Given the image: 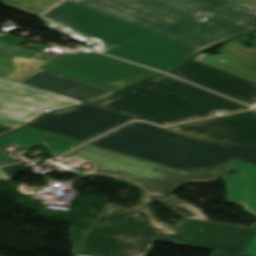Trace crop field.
<instances>
[{"instance_id": "obj_15", "label": "crop field", "mask_w": 256, "mask_h": 256, "mask_svg": "<svg viewBox=\"0 0 256 256\" xmlns=\"http://www.w3.org/2000/svg\"><path fill=\"white\" fill-rule=\"evenodd\" d=\"M218 51L221 56L200 54L194 60L256 83V52L232 42Z\"/></svg>"}, {"instance_id": "obj_4", "label": "crop field", "mask_w": 256, "mask_h": 256, "mask_svg": "<svg viewBox=\"0 0 256 256\" xmlns=\"http://www.w3.org/2000/svg\"><path fill=\"white\" fill-rule=\"evenodd\" d=\"M141 204L134 210L108 205L85 235L76 256H148L173 231L163 228Z\"/></svg>"}, {"instance_id": "obj_20", "label": "crop field", "mask_w": 256, "mask_h": 256, "mask_svg": "<svg viewBox=\"0 0 256 256\" xmlns=\"http://www.w3.org/2000/svg\"><path fill=\"white\" fill-rule=\"evenodd\" d=\"M211 256H244V255L213 251Z\"/></svg>"}, {"instance_id": "obj_5", "label": "crop field", "mask_w": 256, "mask_h": 256, "mask_svg": "<svg viewBox=\"0 0 256 256\" xmlns=\"http://www.w3.org/2000/svg\"><path fill=\"white\" fill-rule=\"evenodd\" d=\"M83 158L98 166L89 173L118 178L138 186L145 196L143 203L154 199H167L182 184L190 182H212L226 167L201 171H175L151 163L85 145L61 158L71 156Z\"/></svg>"}, {"instance_id": "obj_2", "label": "crop field", "mask_w": 256, "mask_h": 256, "mask_svg": "<svg viewBox=\"0 0 256 256\" xmlns=\"http://www.w3.org/2000/svg\"><path fill=\"white\" fill-rule=\"evenodd\" d=\"M23 41L0 37V77L84 102L105 98L139 80L161 74L85 49L58 57L19 46Z\"/></svg>"}, {"instance_id": "obj_11", "label": "crop field", "mask_w": 256, "mask_h": 256, "mask_svg": "<svg viewBox=\"0 0 256 256\" xmlns=\"http://www.w3.org/2000/svg\"><path fill=\"white\" fill-rule=\"evenodd\" d=\"M171 74L249 105L256 99V84L194 60Z\"/></svg>"}, {"instance_id": "obj_7", "label": "crop field", "mask_w": 256, "mask_h": 256, "mask_svg": "<svg viewBox=\"0 0 256 256\" xmlns=\"http://www.w3.org/2000/svg\"><path fill=\"white\" fill-rule=\"evenodd\" d=\"M135 119L137 118L87 104L47 114L29 126L86 142Z\"/></svg>"}, {"instance_id": "obj_8", "label": "crop field", "mask_w": 256, "mask_h": 256, "mask_svg": "<svg viewBox=\"0 0 256 256\" xmlns=\"http://www.w3.org/2000/svg\"><path fill=\"white\" fill-rule=\"evenodd\" d=\"M92 104L160 125L209 117L132 87L110 99Z\"/></svg>"}, {"instance_id": "obj_19", "label": "crop field", "mask_w": 256, "mask_h": 256, "mask_svg": "<svg viewBox=\"0 0 256 256\" xmlns=\"http://www.w3.org/2000/svg\"><path fill=\"white\" fill-rule=\"evenodd\" d=\"M0 169L3 170L5 173H7L12 178H14L28 168L26 166H24L22 163H19V164H15V165L1 167Z\"/></svg>"}, {"instance_id": "obj_13", "label": "crop field", "mask_w": 256, "mask_h": 256, "mask_svg": "<svg viewBox=\"0 0 256 256\" xmlns=\"http://www.w3.org/2000/svg\"><path fill=\"white\" fill-rule=\"evenodd\" d=\"M82 143L62 138L40 130L25 127L0 138V165L12 163L6 147L14 146L17 150L41 145L54 158Z\"/></svg>"}, {"instance_id": "obj_14", "label": "crop field", "mask_w": 256, "mask_h": 256, "mask_svg": "<svg viewBox=\"0 0 256 256\" xmlns=\"http://www.w3.org/2000/svg\"><path fill=\"white\" fill-rule=\"evenodd\" d=\"M225 166L240 173L226 181L228 203L244 205L243 210L256 217V167L237 160ZM243 254L256 256V234Z\"/></svg>"}, {"instance_id": "obj_18", "label": "crop field", "mask_w": 256, "mask_h": 256, "mask_svg": "<svg viewBox=\"0 0 256 256\" xmlns=\"http://www.w3.org/2000/svg\"><path fill=\"white\" fill-rule=\"evenodd\" d=\"M38 11H45L60 0H11Z\"/></svg>"}, {"instance_id": "obj_21", "label": "crop field", "mask_w": 256, "mask_h": 256, "mask_svg": "<svg viewBox=\"0 0 256 256\" xmlns=\"http://www.w3.org/2000/svg\"><path fill=\"white\" fill-rule=\"evenodd\" d=\"M0 179H2V180H11L12 178H10L8 175H6L4 172H2L0 170Z\"/></svg>"}, {"instance_id": "obj_10", "label": "crop field", "mask_w": 256, "mask_h": 256, "mask_svg": "<svg viewBox=\"0 0 256 256\" xmlns=\"http://www.w3.org/2000/svg\"><path fill=\"white\" fill-rule=\"evenodd\" d=\"M168 128L200 138L256 146L254 111Z\"/></svg>"}, {"instance_id": "obj_9", "label": "crop field", "mask_w": 256, "mask_h": 256, "mask_svg": "<svg viewBox=\"0 0 256 256\" xmlns=\"http://www.w3.org/2000/svg\"><path fill=\"white\" fill-rule=\"evenodd\" d=\"M132 87L210 116H215L218 111L229 113L249 109L207 90L166 75L142 81Z\"/></svg>"}, {"instance_id": "obj_16", "label": "crop field", "mask_w": 256, "mask_h": 256, "mask_svg": "<svg viewBox=\"0 0 256 256\" xmlns=\"http://www.w3.org/2000/svg\"><path fill=\"white\" fill-rule=\"evenodd\" d=\"M165 243L175 242L176 244L210 249V250H217V251H224V252H232V253H239L242 254L245 250V247L239 246H232V245H224V244H217V243H210V242H202V241H195V240H185L181 238H174L163 240Z\"/></svg>"}, {"instance_id": "obj_22", "label": "crop field", "mask_w": 256, "mask_h": 256, "mask_svg": "<svg viewBox=\"0 0 256 256\" xmlns=\"http://www.w3.org/2000/svg\"><path fill=\"white\" fill-rule=\"evenodd\" d=\"M256 35V33H254Z\"/></svg>"}, {"instance_id": "obj_1", "label": "crop field", "mask_w": 256, "mask_h": 256, "mask_svg": "<svg viewBox=\"0 0 256 256\" xmlns=\"http://www.w3.org/2000/svg\"><path fill=\"white\" fill-rule=\"evenodd\" d=\"M39 19L103 53L168 72L256 30V0H66Z\"/></svg>"}, {"instance_id": "obj_12", "label": "crop field", "mask_w": 256, "mask_h": 256, "mask_svg": "<svg viewBox=\"0 0 256 256\" xmlns=\"http://www.w3.org/2000/svg\"><path fill=\"white\" fill-rule=\"evenodd\" d=\"M255 232V228L232 226L187 218L186 222L178 223L175 226L174 232L169 234L165 239L182 237L185 239L247 247Z\"/></svg>"}, {"instance_id": "obj_3", "label": "crop field", "mask_w": 256, "mask_h": 256, "mask_svg": "<svg viewBox=\"0 0 256 256\" xmlns=\"http://www.w3.org/2000/svg\"><path fill=\"white\" fill-rule=\"evenodd\" d=\"M186 134L132 122L88 144L175 169L213 168L235 158L256 166V147L204 140Z\"/></svg>"}, {"instance_id": "obj_17", "label": "crop field", "mask_w": 256, "mask_h": 256, "mask_svg": "<svg viewBox=\"0 0 256 256\" xmlns=\"http://www.w3.org/2000/svg\"><path fill=\"white\" fill-rule=\"evenodd\" d=\"M164 203H166L168 206H170L172 209L180 213L183 217L188 218H194V219H200V220H206L204 214L201 210L186 204L184 202H181L177 199H174L172 197L168 198L167 200H160Z\"/></svg>"}, {"instance_id": "obj_6", "label": "crop field", "mask_w": 256, "mask_h": 256, "mask_svg": "<svg viewBox=\"0 0 256 256\" xmlns=\"http://www.w3.org/2000/svg\"><path fill=\"white\" fill-rule=\"evenodd\" d=\"M79 103L83 102L0 78V135L29 123L43 109Z\"/></svg>"}]
</instances>
